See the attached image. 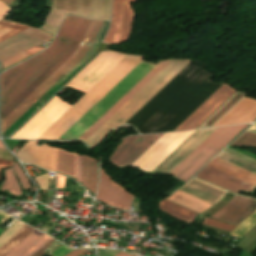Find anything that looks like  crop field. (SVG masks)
<instances>
[{
    "mask_svg": "<svg viewBox=\"0 0 256 256\" xmlns=\"http://www.w3.org/2000/svg\"><path fill=\"white\" fill-rule=\"evenodd\" d=\"M90 20L68 16L52 44L43 52L0 75L1 121L64 63L79 45Z\"/></svg>",
    "mask_w": 256,
    "mask_h": 256,
    "instance_id": "obj_1",
    "label": "crop field"
},
{
    "mask_svg": "<svg viewBox=\"0 0 256 256\" xmlns=\"http://www.w3.org/2000/svg\"><path fill=\"white\" fill-rule=\"evenodd\" d=\"M143 57L127 55L38 139H58L99 99L117 84Z\"/></svg>",
    "mask_w": 256,
    "mask_h": 256,
    "instance_id": "obj_2",
    "label": "crop field"
},
{
    "mask_svg": "<svg viewBox=\"0 0 256 256\" xmlns=\"http://www.w3.org/2000/svg\"><path fill=\"white\" fill-rule=\"evenodd\" d=\"M189 62V60H172L152 81H150L142 90L131 98L123 107H121L85 142L90 146H96V144L111 128L122 125L132 117Z\"/></svg>",
    "mask_w": 256,
    "mask_h": 256,
    "instance_id": "obj_3",
    "label": "crop field"
},
{
    "mask_svg": "<svg viewBox=\"0 0 256 256\" xmlns=\"http://www.w3.org/2000/svg\"><path fill=\"white\" fill-rule=\"evenodd\" d=\"M101 24V21L91 22L80 46L72 54V56L1 122L2 133L81 60L83 55L90 47Z\"/></svg>",
    "mask_w": 256,
    "mask_h": 256,
    "instance_id": "obj_4",
    "label": "crop field"
},
{
    "mask_svg": "<svg viewBox=\"0 0 256 256\" xmlns=\"http://www.w3.org/2000/svg\"><path fill=\"white\" fill-rule=\"evenodd\" d=\"M246 125L218 128L169 174L186 182Z\"/></svg>",
    "mask_w": 256,
    "mask_h": 256,
    "instance_id": "obj_5",
    "label": "crop field"
},
{
    "mask_svg": "<svg viewBox=\"0 0 256 256\" xmlns=\"http://www.w3.org/2000/svg\"><path fill=\"white\" fill-rule=\"evenodd\" d=\"M153 67L140 63L60 138H78Z\"/></svg>",
    "mask_w": 256,
    "mask_h": 256,
    "instance_id": "obj_6",
    "label": "crop field"
},
{
    "mask_svg": "<svg viewBox=\"0 0 256 256\" xmlns=\"http://www.w3.org/2000/svg\"><path fill=\"white\" fill-rule=\"evenodd\" d=\"M71 106L55 96L11 138L37 139Z\"/></svg>",
    "mask_w": 256,
    "mask_h": 256,
    "instance_id": "obj_7",
    "label": "crop field"
},
{
    "mask_svg": "<svg viewBox=\"0 0 256 256\" xmlns=\"http://www.w3.org/2000/svg\"><path fill=\"white\" fill-rule=\"evenodd\" d=\"M125 56L126 54L113 51L101 52L66 86L86 93Z\"/></svg>",
    "mask_w": 256,
    "mask_h": 256,
    "instance_id": "obj_8",
    "label": "crop field"
},
{
    "mask_svg": "<svg viewBox=\"0 0 256 256\" xmlns=\"http://www.w3.org/2000/svg\"><path fill=\"white\" fill-rule=\"evenodd\" d=\"M194 132L195 131L164 134L134 161L131 166L152 172Z\"/></svg>",
    "mask_w": 256,
    "mask_h": 256,
    "instance_id": "obj_9",
    "label": "crop field"
},
{
    "mask_svg": "<svg viewBox=\"0 0 256 256\" xmlns=\"http://www.w3.org/2000/svg\"><path fill=\"white\" fill-rule=\"evenodd\" d=\"M52 38L53 36L31 27L0 43V62Z\"/></svg>",
    "mask_w": 256,
    "mask_h": 256,
    "instance_id": "obj_10",
    "label": "crop field"
},
{
    "mask_svg": "<svg viewBox=\"0 0 256 256\" xmlns=\"http://www.w3.org/2000/svg\"><path fill=\"white\" fill-rule=\"evenodd\" d=\"M123 2L124 0H113L111 26L103 41L105 43L117 44L128 38L134 19V12L130 6V2H136V0H125L124 17L120 27Z\"/></svg>",
    "mask_w": 256,
    "mask_h": 256,
    "instance_id": "obj_11",
    "label": "crop field"
},
{
    "mask_svg": "<svg viewBox=\"0 0 256 256\" xmlns=\"http://www.w3.org/2000/svg\"><path fill=\"white\" fill-rule=\"evenodd\" d=\"M162 135L163 134L125 138L115 150L114 155L110 158L111 162L119 167L130 165Z\"/></svg>",
    "mask_w": 256,
    "mask_h": 256,
    "instance_id": "obj_12",
    "label": "crop field"
},
{
    "mask_svg": "<svg viewBox=\"0 0 256 256\" xmlns=\"http://www.w3.org/2000/svg\"><path fill=\"white\" fill-rule=\"evenodd\" d=\"M234 92L235 90L231 89L228 85L224 84L174 131L196 129Z\"/></svg>",
    "mask_w": 256,
    "mask_h": 256,
    "instance_id": "obj_13",
    "label": "crop field"
},
{
    "mask_svg": "<svg viewBox=\"0 0 256 256\" xmlns=\"http://www.w3.org/2000/svg\"><path fill=\"white\" fill-rule=\"evenodd\" d=\"M256 208V199L234 195L231 201L210 218L237 225Z\"/></svg>",
    "mask_w": 256,
    "mask_h": 256,
    "instance_id": "obj_14",
    "label": "crop field"
},
{
    "mask_svg": "<svg viewBox=\"0 0 256 256\" xmlns=\"http://www.w3.org/2000/svg\"><path fill=\"white\" fill-rule=\"evenodd\" d=\"M56 148L46 144L37 145V141H28L15 155L24 162L53 170Z\"/></svg>",
    "mask_w": 256,
    "mask_h": 256,
    "instance_id": "obj_15",
    "label": "crop field"
},
{
    "mask_svg": "<svg viewBox=\"0 0 256 256\" xmlns=\"http://www.w3.org/2000/svg\"><path fill=\"white\" fill-rule=\"evenodd\" d=\"M96 198L112 207L128 210L133 197L114 184L100 168V183Z\"/></svg>",
    "mask_w": 256,
    "mask_h": 256,
    "instance_id": "obj_16",
    "label": "crop field"
},
{
    "mask_svg": "<svg viewBox=\"0 0 256 256\" xmlns=\"http://www.w3.org/2000/svg\"><path fill=\"white\" fill-rule=\"evenodd\" d=\"M159 62L146 76H144L133 88H131L117 103H115L101 118H99L85 133L78 139L87 140L100 126L103 125L122 105H124L138 90L144 87L155 77L169 62Z\"/></svg>",
    "mask_w": 256,
    "mask_h": 256,
    "instance_id": "obj_17",
    "label": "crop field"
},
{
    "mask_svg": "<svg viewBox=\"0 0 256 256\" xmlns=\"http://www.w3.org/2000/svg\"><path fill=\"white\" fill-rule=\"evenodd\" d=\"M217 128L197 130L187 141H185L165 162L154 172L168 174L186 156H188L198 145H200Z\"/></svg>",
    "mask_w": 256,
    "mask_h": 256,
    "instance_id": "obj_18",
    "label": "crop field"
},
{
    "mask_svg": "<svg viewBox=\"0 0 256 256\" xmlns=\"http://www.w3.org/2000/svg\"><path fill=\"white\" fill-rule=\"evenodd\" d=\"M196 176L234 193H237L239 190L251 192L255 188L253 185L207 166H205Z\"/></svg>",
    "mask_w": 256,
    "mask_h": 256,
    "instance_id": "obj_19",
    "label": "crop field"
},
{
    "mask_svg": "<svg viewBox=\"0 0 256 256\" xmlns=\"http://www.w3.org/2000/svg\"><path fill=\"white\" fill-rule=\"evenodd\" d=\"M256 118V100L244 97L214 127L252 122Z\"/></svg>",
    "mask_w": 256,
    "mask_h": 256,
    "instance_id": "obj_20",
    "label": "crop field"
},
{
    "mask_svg": "<svg viewBox=\"0 0 256 256\" xmlns=\"http://www.w3.org/2000/svg\"><path fill=\"white\" fill-rule=\"evenodd\" d=\"M181 190L206 200L212 204L216 203L225 193V191L199 181L195 178H193L187 185L181 188Z\"/></svg>",
    "mask_w": 256,
    "mask_h": 256,
    "instance_id": "obj_21",
    "label": "crop field"
},
{
    "mask_svg": "<svg viewBox=\"0 0 256 256\" xmlns=\"http://www.w3.org/2000/svg\"><path fill=\"white\" fill-rule=\"evenodd\" d=\"M207 166L256 186V174L215 157Z\"/></svg>",
    "mask_w": 256,
    "mask_h": 256,
    "instance_id": "obj_22",
    "label": "crop field"
},
{
    "mask_svg": "<svg viewBox=\"0 0 256 256\" xmlns=\"http://www.w3.org/2000/svg\"><path fill=\"white\" fill-rule=\"evenodd\" d=\"M76 160L77 154L57 149L55 171L75 177Z\"/></svg>",
    "mask_w": 256,
    "mask_h": 256,
    "instance_id": "obj_23",
    "label": "crop field"
},
{
    "mask_svg": "<svg viewBox=\"0 0 256 256\" xmlns=\"http://www.w3.org/2000/svg\"><path fill=\"white\" fill-rule=\"evenodd\" d=\"M97 184L96 161L86 156H82V185L92 192H95Z\"/></svg>",
    "mask_w": 256,
    "mask_h": 256,
    "instance_id": "obj_24",
    "label": "crop field"
},
{
    "mask_svg": "<svg viewBox=\"0 0 256 256\" xmlns=\"http://www.w3.org/2000/svg\"><path fill=\"white\" fill-rule=\"evenodd\" d=\"M159 209L163 212L168 213L169 215L180 219L188 224L193 220L197 213L192 212L188 209L175 205L166 200H162L159 204Z\"/></svg>",
    "mask_w": 256,
    "mask_h": 256,
    "instance_id": "obj_25",
    "label": "crop field"
},
{
    "mask_svg": "<svg viewBox=\"0 0 256 256\" xmlns=\"http://www.w3.org/2000/svg\"><path fill=\"white\" fill-rule=\"evenodd\" d=\"M246 93L237 92L224 105H222L209 119H207L199 128L213 127L228 111H230Z\"/></svg>",
    "mask_w": 256,
    "mask_h": 256,
    "instance_id": "obj_26",
    "label": "crop field"
},
{
    "mask_svg": "<svg viewBox=\"0 0 256 256\" xmlns=\"http://www.w3.org/2000/svg\"><path fill=\"white\" fill-rule=\"evenodd\" d=\"M187 194V193H186ZM180 191H178L177 193H175L174 195L168 197L167 199L176 202L180 205H183L189 209H192L198 213L204 211L205 209H207L208 207H210L211 205L202 202L198 199H195L189 195H186Z\"/></svg>",
    "mask_w": 256,
    "mask_h": 256,
    "instance_id": "obj_27",
    "label": "crop field"
},
{
    "mask_svg": "<svg viewBox=\"0 0 256 256\" xmlns=\"http://www.w3.org/2000/svg\"><path fill=\"white\" fill-rule=\"evenodd\" d=\"M30 26L3 20L0 22V41L28 28Z\"/></svg>",
    "mask_w": 256,
    "mask_h": 256,
    "instance_id": "obj_28",
    "label": "crop field"
},
{
    "mask_svg": "<svg viewBox=\"0 0 256 256\" xmlns=\"http://www.w3.org/2000/svg\"><path fill=\"white\" fill-rule=\"evenodd\" d=\"M33 228L25 225L11 239H9L2 247H0V256L6 254L13 246H15L22 238L30 233Z\"/></svg>",
    "mask_w": 256,
    "mask_h": 256,
    "instance_id": "obj_29",
    "label": "crop field"
},
{
    "mask_svg": "<svg viewBox=\"0 0 256 256\" xmlns=\"http://www.w3.org/2000/svg\"><path fill=\"white\" fill-rule=\"evenodd\" d=\"M33 231H35V229ZM32 232L27 237H25L19 244H17L11 251H9L5 256H19L30 245H32L39 238V236L33 234Z\"/></svg>",
    "mask_w": 256,
    "mask_h": 256,
    "instance_id": "obj_30",
    "label": "crop field"
},
{
    "mask_svg": "<svg viewBox=\"0 0 256 256\" xmlns=\"http://www.w3.org/2000/svg\"><path fill=\"white\" fill-rule=\"evenodd\" d=\"M1 189H3V190L7 189V190H9V192H11L17 196L22 195L20 188L18 186V183L16 181V178L14 176V173L11 168L5 170V182Z\"/></svg>",
    "mask_w": 256,
    "mask_h": 256,
    "instance_id": "obj_31",
    "label": "crop field"
},
{
    "mask_svg": "<svg viewBox=\"0 0 256 256\" xmlns=\"http://www.w3.org/2000/svg\"><path fill=\"white\" fill-rule=\"evenodd\" d=\"M256 224V211L241 222L236 229H234L229 235L241 238L246 232H248Z\"/></svg>",
    "mask_w": 256,
    "mask_h": 256,
    "instance_id": "obj_32",
    "label": "crop field"
},
{
    "mask_svg": "<svg viewBox=\"0 0 256 256\" xmlns=\"http://www.w3.org/2000/svg\"><path fill=\"white\" fill-rule=\"evenodd\" d=\"M230 145L231 146H235V145L256 146V134L245 131Z\"/></svg>",
    "mask_w": 256,
    "mask_h": 256,
    "instance_id": "obj_33",
    "label": "crop field"
},
{
    "mask_svg": "<svg viewBox=\"0 0 256 256\" xmlns=\"http://www.w3.org/2000/svg\"><path fill=\"white\" fill-rule=\"evenodd\" d=\"M51 238L47 235H43L39 240H37L31 247H29L20 256H32L36 251H38L42 246H44Z\"/></svg>",
    "mask_w": 256,
    "mask_h": 256,
    "instance_id": "obj_34",
    "label": "crop field"
},
{
    "mask_svg": "<svg viewBox=\"0 0 256 256\" xmlns=\"http://www.w3.org/2000/svg\"><path fill=\"white\" fill-rule=\"evenodd\" d=\"M23 226H24V224L17 221L8 230H6L2 235H0V246L3 245L9 238H11Z\"/></svg>",
    "mask_w": 256,
    "mask_h": 256,
    "instance_id": "obj_35",
    "label": "crop field"
},
{
    "mask_svg": "<svg viewBox=\"0 0 256 256\" xmlns=\"http://www.w3.org/2000/svg\"><path fill=\"white\" fill-rule=\"evenodd\" d=\"M203 224H207V225H210L212 227L219 228V229H222V230H226V231H229V232L232 229L235 228V225L227 224V223H224V222H220V221H216V220H212V219H208V218H206V220L203 222Z\"/></svg>",
    "mask_w": 256,
    "mask_h": 256,
    "instance_id": "obj_36",
    "label": "crop field"
},
{
    "mask_svg": "<svg viewBox=\"0 0 256 256\" xmlns=\"http://www.w3.org/2000/svg\"><path fill=\"white\" fill-rule=\"evenodd\" d=\"M22 186L24 189H30V186H29V182L27 180V178L25 177V175L23 174V172L21 171V169L19 168L18 164L15 163V165L13 166Z\"/></svg>",
    "mask_w": 256,
    "mask_h": 256,
    "instance_id": "obj_37",
    "label": "crop field"
},
{
    "mask_svg": "<svg viewBox=\"0 0 256 256\" xmlns=\"http://www.w3.org/2000/svg\"><path fill=\"white\" fill-rule=\"evenodd\" d=\"M25 57H27V55H26L25 52H23V53H21V54L15 56V57H13V58L7 60V61L1 63V69H3V68H5V67H7V66H9V65H11V64H13V63H15V62H17V61H19V60H21V59H23V58H25Z\"/></svg>",
    "mask_w": 256,
    "mask_h": 256,
    "instance_id": "obj_38",
    "label": "crop field"
},
{
    "mask_svg": "<svg viewBox=\"0 0 256 256\" xmlns=\"http://www.w3.org/2000/svg\"><path fill=\"white\" fill-rule=\"evenodd\" d=\"M70 251H71V249H67L66 247H64L62 245L55 252H53L51 255H53V256H65Z\"/></svg>",
    "mask_w": 256,
    "mask_h": 256,
    "instance_id": "obj_39",
    "label": "crop field"
},
{
    "mask_svg": "<svg viewBox=\"0 0 256 256\" xmlns=\"http://www.w3.org/2000/svg\"><path fill=\"white\" fill-rule=\"evenodd\" d=\"M0 159L14 162V158L9 154L7 150L0 149Z\"/></svg>",
    "mask_w": 256,
    "mask_h": 256,
    "instance_id": "obj_40",
    "label": "crop field"
},
{
    "mask_svg": "<svg viewBox=\"0 0 256 256\" xmlns=\"http://www.w3.org/2000/svg\"><path fill=\"white\" fill-rule=\"evenodd\" d=\"M11 11L4 3L0 2V20Z\"/></svg>",
    "mask_w": 256,
    "mask_h": 256,
    "instance_id": "obj_41",
    "label": "crop field"
},
{
    "mask_svg": "<svg viewBox=\"0 0 256 256\" xmlns=\"http://www.w3.org/2000/svg\"><path fill=\"white\" fill-rule=\"evenodd\" d=\"M76 181H81V155L78 154V165H77V178Z\"/></svg>",
    "mask_w": 256,
    "mask_h": 256,
    "instance_id": "obj_42",
    "label": "crop field"
},
{
    "mask_svg": "<svg viewBox=\"0 0 256 256\" xmlns=\"http://www.w3.org/2000/svg\"><path fill=\"white\" fill-rule=\"evenodd\" d=\"M56 176H57V179H58L57 188L63 189L64 183H65V177L60 176V175H58V174H56Z\"/></svg>",
    "mask_w": 256,
    "mask_h": 256,
    "instance_id": "obj_43",
    "label": "crop field"
},
{
    "mask_svg": "<svg viewBox=\"0 0 256 256\" xmlns=\"http://www.w3.org/2000/svg\"><path fill=\"white\" fill-rule=\"evenodd\" d=\"M55 240H51L49 243H47L40 251H38L34 256H41L44 252L45 249H47L51 244H53Z\"/></svg>",
    "mask_w": 256,
    "mask_h": 256,
    "instance_id": "obj_44",
    "label": "crop field"
},
{
    "mask_svg": "<svg viewBox=\"0 0 256 256\" xmlns=\"http://www.w3.org/2000/svg\"><path fill=\"white\" fill-rule=\"evenodd\" d=\"M12 162L0 160V169L1 168H10L12 166Z\"/></svg>",
    "mask_w": 256,
    "mask_h": 256,
    "instance_id": "obj_45",
    "label": "crop field"
},
{
    "mask_svg": "<svg viewBox=\"0 0 256 256\" xmlns=\"http://www.w3.org/2000/svg\"><path fill=\"white\" fill-rule=\"evenodd\" d=\"M85 250L87 249H83V250H73L71 251L69 254H67L66 256H79L81 253H83Z\"/></svg>",
    "mask_w": 256,
    "mask_h": 256,
    "instance_id": "obj_46",
    "label": "crop field"
},
{
    "mask_svg": "<svg viewBox=\"0 0 256 256\" xmlns=\"http://www.w3.org/2000/svg\"><path fill=\"white\" fill-rule=\"evenodd\" d=\"M42 49L43 48L35 47V48L31 49V50L26 51V53H27L28 56H30V55H32V54H34V53H36V52H38V51H40Z\"/></svg>",
    "mask_w": 256,
    "mask_h": 256,
    "instance_id": "obj_47",
    "label": "crop field"
},
{
    "mask_svg": "<svg viewBox=\"0 0 256 256\" xmlns=\"http://www.w3.org/2000/svg\"><path fill=\"white\" fill-rule=\"evenodd\" d=\"M247 130L252 131V132H256V123L253 124L250 128H248Z\"/></svg>",
    "mask_w": 256,
    "mask_h": 256,
    "instance_id": "obj_48",
    "label": "crop field"
},
{
    "mask_svg": "<svg viewBox=\"0 0 256 256\" xmlns=\"http://www.w3.org/2000/svg\"><path fill=\"white\" fill-rule=\"evenodd\" d=\"M115 256H130V255H127V254H125V253H121V252H119L118 254H116Z\"/></svg>",
    "mask_w": 256,
    "mask_h": 256,
    "instance_id": "obj_49",
    "label": "crop field"
},
{
    "mask_svg": "<svg viewBox=\"0 0 256 256\" xmlns=\"http://www.w3.org/2000/svg\"><path fill=\"white\" fill-rule=\"evenodd\" d=\"M5 217H6V215L0 213V221H1L2 219H4Z\"/></svg>",
    "mask_w": 256,
    "mask_h": 256,
    "instance_id": "obj_50",
    "label": "crop field"
},
{
    "mask_svg": "<svg viewBox=\"0 0 256 256\" xmlns=\"http://www.w3.org/2000/svg\"><path fill=\"white\" fill-rule=\"evenodd\" d=\"M0 148H4V146L1 144V142H0ZM5 149V148H4Z\"/></svg>",
    "mask_w": 256,
    "mask_h": 256,
    "instance_id": "obj_51",
    "label": "crop field"
},
{
    "mask_svg": "<svg viewBox=\"0 0 256 256\" xmlns=\"http://www.w3.org/2000/svg\"><path fill=\"white\" fill-rule=\"evenodd\" d=\"M1 1L9 3V0H1Z\"/></svg>",
    "mask_w": 256,
    "mask_h": 256,
    "instance_id": "obj_52",
    "label": "crop field"
},
{
    "mask_svg": "<svg viewBox=\"0 0 256 256\" xmlns=\"http://www.w3.org/2000/svg\"><path fill=\"white\" fill-rule=\"evenodd\" d=\"M3 231V229L0 228V233Z\"/></svg>",
    "mask_w": 256,
    "mask_h": 256,
    "instance_id": "obj_53",
    "label": "crop field"
},
{
    "mask_svg": "<svg viewBox=\"0 0 256 256\" xmlns=\"http://www.w3.org/2000/svg\"><path fill=\"white\" fill-rule=\"evenodd\" d=\"M90 256H94V255L92 254V255H90Z\"/></svg>",
    "mask_w": 256,
    "mask_h": 256,
    "instance_id": "obj_54",
    "label": "crop field"
},
{
    "mask_svg": "<svg viewBox=\"0 0 256 256\" xmlns=\"http://www.w3.org/2000/svg\"><path fill=\"white\" fill-rule=\"evenodd\" d=\"M132 256H134V255H132Z\"/></svg>",
    "mask_w": 256,
    "mask_h": 256,
    "instance_id": "obj_55",
    "label": "crop field"
}]
</instances>
